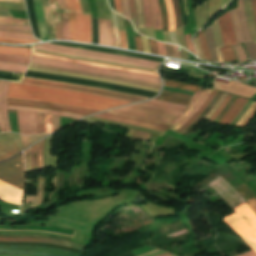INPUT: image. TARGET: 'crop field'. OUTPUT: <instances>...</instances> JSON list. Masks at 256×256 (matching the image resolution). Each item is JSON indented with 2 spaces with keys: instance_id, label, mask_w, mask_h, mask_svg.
Instances as JSON below:
<instances>
[{
  "instance_id": "8a807250",
  "label": "crop field",
  "mask_w": 256,
  "mask_h": 256,
  "mask_svg": "<svg viewBox=\"0 0 256 256\" xmlns=\"http://www.w3.org/2000/svg\"><path fill=\"white\" fill-rule=\"evenodd\" d=\"M7 98H21L62 103L72 106L105 110L107 108L128 104L131 102L102 97L92 94L64 91L58 89L36 87L11 83Z\"/></svg>"
},
{
  "instance_id": "ac0d7876",
  "label": "crop field",
  "mask_w": 256,
  "mask_h": 256,
  "mask_svg": "<svg viewBox=\"0 0 256 256\" xmlns=\"http://www.w3.org/2000/svg\"><path fill=\"white\" fill-rule=\"evenodd\" d=\"M203 90H198L192 95V98L189 102L188 108L183 112H176L167 109L137 104L133 106H128L124 108H119L115 110L106 111L112 114L135 117L140 119H146L151 121H157L162 123L171 124V129L175 126L181 119H183L187 113L192 109V107L196 104L200 96L202 95Z\"/></svg>"
},
{
  "instance_id": "34b2d1b8",
  "label": "crop field",
  "mask_w": 256,
  "mask_h": 256,
  "mask_svg": "<svg viewBox=\"0 0 256 256\" xmlns=\"http://www.w3.org/2000/svg\"><path fill=\"white\" fill-rule=\"evenodd\" d=\"M233 210L236 213L222 220L235 230L246 244L256 252V215L246 203ZM253 250L238 256H256Z\"/></svg>"
},
{
  "instance_id": "412701ff",
  "label": "crop field",
  "mask_w": 256,
  "mask_h": 256,
  "mask_svg": "<svg viewBox=\"0 0 256 256\" xmlns=\"http://www.w3.org/2000/svg\"><path fill=\"white\" fill-rule=\"evenodd\" d=\"M31 63L41 64V65H48V66H55V67H61V68H67V69L78 70V71L89 72V73H95V74H101V75H107V76H114V77H120V78L146 81V82L161 85L159 78L140 75V74H136V73L117 71V70H111V69H104V68H97V67H90V66H83V65H77V64H71V63H65V62L43 59V58L34 57V56H32Z\"/></svg>"
},
{
  "instance_id": "f4fd0767",
  "label": "crop field",
  "mask_w": 256,
  "mask_h": 256,
  "mask_svg": "<svg viewBox=\"0 0 256 256\" xmlns=\"http://www.w3.org/2000/svg\"><path fill=\"white\" fill-rule=\"evenodd\" d=\"M70 19V40L91 43L90 15H82L78 0H66Z\"/></svg>"
},
{
  "instance_id": "dd49c442",
  "label": "crop field",
  "mask_w": 256,
  "mask_h": 256,
  "mask_svg": "<svg viewBox=\"0 0 256 256\" xmlns=\"http://www.w3.org/2000/svg\"><path fill=\"white\" fill-rule=\"evenodd\" d=\"M21 83L22 84H29V85H36V86H44V87L65 89V90H71V91H78V92L92 93V94L103 95V96L118 98V99H122V100H127V101H131V102L143 101V100L148 99V98L133 96V95H129V94L114 92V91L96 89V88H92V87L76 86V85L63 84V83L50 82V81H42V80H35V79L23 78Z\"/></svg>"
},
{
  "instance_id": "e52e79f7",
  "label": "crop field",
  "mask_w": 256,
  "mask_h": 256,
  "mask_svg": "<svg viewBox=\"0 0 256 256\" xmlns=\"http://www.w3.org/2000/svg\"><path fill=\"white\" fill-rule=\"evenodd\" d=\"M0 179L19 188L24 186V165L22 154L0 164Z\"/></svg>"
},
{
  "instance_id": "d8731c3e",
  "label": "crop field",
  "mask_w": 256,
  "mask_h": 256,
  "mask_svg": "<svg viewBox=\"0 0 256 256\" xmlns=\"http://www.w3.org/2000/svg\"><path fill=\"white\" fill-rule=\"evenodd\" d=\"M0 254L36 256H80L73 252L31 246H0Z\"/></svg>"
},
{
  "instance_id": "5a996713",
  "label": "crop field",
  "mask_w": 256,
  "mask_h": 256,
  "mask_svg": "<svg viewBox=\"0 0 256 256\" xmlns=\"http://www.w3.org/2000/svg\"><path fill=\"white\" fill-rule=\"evenodd\" d=\"M7 105H21V106H28V107L41 108V109H51V110H58L62 112L83 114L85 116L91 113L98 112L90 109L72 107V106H67L62 104L31 101V100H21V99H7Z\"/></svg>"
},
{
  "instance_id": "3316defc",
  "label": "crop field",
  "mask_w": 256,
  "mask_h": 256,
  "mask_svg": "<svg viewBox=\"0 0 256 256\" xmlns=\"http://www.w3.org/2000/svg\"><path fill=\"white\" fill-rule=\"evenodd\" d=\"M23 150L19 136L12 133L0 134V161Z\"/></svg>"
},
{
  "instance_id": "28ad6ade",
  "label": "crop field",
  "mask_w": 256,
  "mask_h": 256,
  "mask_svg": "<svg viewBox=\"0 0 256 256\" xmlns=\"http://www.w3.org/2000/svg\"><path fill=\"white\" fill-rule=\"evenodd\" d=\"M93 117L113 120V121L122 122V123L130 124V125L155 129V130H159V131H163V132H165L169 127L168 124H162V123L151 122V121H146V120L116 116V115H112V114H109V113H106V112L97 114Z\"/></svg>"
},
{
  "instance_id": "d1516ede",
  "label": "crop field",
  "mask_w": 256,
  "mask_h": 256,
  "mask_svg": "<svg viewBox=\"0 0 256 256\" xmlns=\"http://www.w3.org/2000/svg\"><path fill=\"white\" fill-rule=\"evenodd\" d=\"M17 119L20 134H37L36 113L17 111Z\"/></svg>"
},
{
  "instance_id": "22f410ed",
  "label": "crop field",
  "mask_w": 256,
  "mask_h": 256,
  "mask_svg": "<svg viewBox=\"0 0 256 256\" xmlns=\"http://www.w3.org/2000/svg\"><path fill=\"white\" fill-rule=\"evenodd\" d=\"M39 46H45V47H51V48H56V49H62V50H68V51H74V52H80V53H86V54H92V55H99V56H105V57H112V58H118V59L130 60V61H136V62L151 64V65H156V66L161 64L159 62L147 61V60L130 58V57H122V56H116V55H110V54H104V53H98V52H91V51H85V50H78V49L60 47V46L49 45V44H41Z\"/></svg>"
},
{
  "instance_id": "cbeb9de0",
  "label": "crop field",
  "mask_w": 256,
  "mask_h": 256,
  "mask_svg": "<svg viewBox=\"0 0 256 256\" xmlns=\"http://www.w3.org/2000/svg\"><path fill=\"white\" fill-rule=\"evenodd\" d=\"M0 241H8V242H43V243H51V244L68 246V247L77 248V249H81V250H84V248H85V246L74 244V243H71V242H63V241L43 239V238H5V237H0Z\"/></svg>"
},
{
  "instance_id": "5142ce71",
  "label": "crop field",
  "mask_w": 256,
  "mask_h": 256,
  "mask_svg": "<svg viewBox=\"0 0 256 256\" xmlns=\"http://www.w3.org/2000/svg\"><path fill=\"white\" fill-rule=\"evenodd\" d=\"M99 44L112 46L111 20L98 19Z\"/></svg>"
},
{
  "instance_id": "d9b57169",
  "label": "crop field",
  "mask_w": 256,
  "mask_h": 256,
  "mask_svg": "<svg viewBox=\"0 0 256 256\" xmlns=\"http://www.w3.org/2000/svg\"><path fill=\"white\" fill-rule=\"evenodd\" d=\"M33 48L42 49V50H48V51L57 52V53H64V54H70V55L89 57V58L100 59V60L111 61V62H117V63H125V64L137 65V66L153 68V69L157 68L156 66L144 65V64H139V63L130 62V61L111 59V58H105V57H99V56H92V55H86V54H80V53H74V52H68V51H62V50H56V49H50V48H44V47H38V46H34Z\"/></svg>"
},
{
  "instance_id": "733c2abd",
  "label": "crop field",
  "mask_w": 256,
  "mask_h": 256,
  "mask_svg": "<svg viewBox=\"0 0 256 256\" xmlns=\"http://www.w3.org/2000/svg\"><path fill=\"white\" fill-rule=\"evenodd\" d=\"M219 23L222 29L224 45L227 46V45L236 44L233 31H232V25H231V19H230L229 13L225 14L224 17L220 18Z\"/></svg>"
},
{
  "instance_id": "4a817a6b",
  "label": "crop field",
  "mask_w": 256,
  "mask_h": 256,
  "mask_svg": "<svg viewBox=\"0 0 256 256\" xmlns=\"http://www.w3.org/2000/svg\"><path fill=\"white\" fill-rule=\"evenodd\" d=\"M32 55H34V56H39V57H43V58H48V59H54V60H60V61H66V62L84 64V65H91V66H97V67L118 69V70L136 72V73H141V74H145V75H150V76H156V77H158V75L155 74V73L145 72V71H139V70H134V69L110 67V66L98 65V64H93V63H87V62H82V61H77V60H71V59H66V58H61V57H55V56H49V55L36 54V53H33Z\"/></svg>"
},
{
  "instance_id": "bc2a9ffb",
  "label": "crop field",
  "mask_w": 256,
  "mask_h": 256,
  "mask_svg": "<svg viewBox=\"0 0 256 256\" xmlns=\"http://www.w3.org/2000/svg\"><path fill=\"white\" fill-rule=\"evenodd\" d=\"M247 102L246 99L239 98L236 100L231 109L227 112V114L221 119L218 123L220 125H228L239 113L244 104Z\"/></svg>"
},
{
  "instance_id": "214f88e0",
  "label": "crop field",
  "mask_w": 256,
  "mask_h": 256,
  "mask_svg": "<svg viewBox=\"0 0 256 256\" xmlns=\"http://www.w3.org/2000/svg\"><path fill=\"white\" fill-rule=\"evenodd\" d=\"M60 16H61V22H62V32H63V40H69V21H68V15L66 12V6L64 0H57Z\"/></svg>"
},
{
  "instance_id": "92a150f3",
  "label": "crop field",
  "mask_w": 256,
  "mask_h": 256,
  "mask_svg": "<svg viewBox=\"0 0 256 256\" xmlns=\"http://www.w3.org/2000/svg\"><path fill=\"white\" fill-rule=\"evenodd\" d=\"M7 108L8 109H12V110L41 112V113H47V114H51V115L71 117V118H73L75 120L83 117V116H78V115H74V114L62 113V112H58V111L41 110V109H34V108L20 107V106H7Z\"/></svg>"
},
{
  "instance_id": "dafd665d",
  "label": "crop field",
  "mask_w": 256,
  "mask_h": 256,
  "mask_svg": "<svg viewBox=\"0 0 256 256\" xmlns=\"http://www.w3.org/2000/svg\"><path fill=\"white\" fill-rule=\"evenodd\" d=\"M10 82L4 81L1 93V110H2V117L4 121V126L6 131H11L9 120L7 117V108H6V96H7V89Z\"/></svg>"
},
{
  "instance_id": "00972430",
  "label": "crop field",
  "mask_w": 256,
  "mask_h": 256,
  "mask_svg": "<svg viewBox=\"0 0 256 256\" xmlns=\"http://www.w3.org/2000/svg\"><path fill=\"white\" fill-rule=\"evenodd\" d=\"M53 22L56 32V39H62L60 16L56 0H50Z\"/></svg>"
},
{
  "instance_id": "a9b5d70f",
  "label": "crop field",
  "mask_w": 256,
  "mask_h": 256,
  "mask_svg": "<svg viewBox=\"0 0 256 256\" xmlns=\"http://www.w3.org/2000/svg\"><path fill=\"white\" fill-rule=\"evenodd\" d=\"M210 92L211 89L206 88L203 95L201 96L197 104L193 107V109L189 112V114L171 130L176 132L201 107V105L203 104V102L205 101Z\"/></svg>"
},
{
  "instance_id": "4177f3b9",
  "label": "crop field",
  "mask_w": 256,
  "mask_h": 256,
  "mask_svg": "<svg viewBox=\"0 0 256 256\" xmlns=\"http://www.w3.org/2000/svg\"><path fill=\"white\" fill-rule=\"evenodd\" d=\"M216 93L217 90L213 89V91L210 93L202 107L177 131V133L180 134L182 131H184L200 115V113L206 108V106L213 99Z\"/></svg>"
},
{
  "instance_id": "730fd06b",
  "label": "crop field",
  "mask_w": 256,
  "mask_h": 256,
  "mask_svg": "<svg viewBox=\"0 0 256 256\" xmlns=\"http://www.w3.org/2000/svg\"><path fill=\"white\" fill-rule=\"evenodd\" d=\"M31 48H19L10 46H0V53L2 54H16L30 56Z\"/></svg>"
},
{
  "instance_id": "eef30255",
  "label": "crop field",
  "mask_w": 256,
  "mask_h": 256,
  "mask_svg": "<svg viewBox=\"0 0 256 256\" xmlns=\"http://www.w3.org/2000/svg\"><path fill=\"white\" fill-rule=\"evenodd\" d=\"M163 81H164V85H166V86H170V87H174V88H178V89H182V90H187V91H192V92H195L198 88H201L200 86L171 81V80L163 79Z\"/></svg>"
},
{
  "instance_id": "ae1a2a85",
  "label": "crop field",
  "mask_w": 256,
  "mask_h": 256,
  "mask_svg": "<svg viewBox=\"0 0 256 256\" xmlns=\"http://www.w3.org/2000/svg\"><path fill=\"white\" fill-rule=\"evenodd\" d=\"M30 57L23 56H12V55H1L0 62L17 63V64H29Z\"/></svg>"
},
{
  "instance_id": "d3111659",
  "label": "crop field",
  "mask_w": 256,
  "mask_h": 256,
  "mask_svg": "<svg viewBox=\"0 0 256 256\" xmlns=\"http://www.w3.org/2000/svg\"><path fill=\"white\" fill-rule=\"evenodd\" d=\"M150 3H151L153 18H154V29H162L157 0H150Z\"/></svg>"
},
{
  "instance_id": "750c4746",
  "label": "crop field",
  "mask_w": 256,
  "mask_h": 256,
  "mask_svg": "<svg viewBox=\"0 0 256 256\" xmlns=\"http://www.w3.org/2000/svg\"><path fill=\"white\" fill-rule=\"evenodd\" d=\"M27 67L25 65L0 63V71L24 73Z\"/></svg>"
},
{
  "instance_id": "bd1437ed",
  "label": "crop field",
  "mask_w": 256,
  "mask_h": 256,
  "mask_svg": "<svg viewBox=\"0 0 256 256\" xmlns=\"http://www.w3.org/2000/svg\"><path fill=\"white\" fill-rule=\"evenodd\" d=\"M146 27H153V18L150 8L149 0H142Z\"/></svg>"
},
{
  "instance_id": "1d83c4d3",
  "label": "crop field",
  "mask_w": 256,
  "mask_h": 256,
  "mask_svg": "<svg viewBox=\"0 0 256 256\" xmlns=\"http://www.w3.org/2000/svg\"><path fill=\"white\" fill-rule=\"evenodd\" d=\"M0 30L31 33L30 27L29 26H23V25H3V24H0Z\"/></svg>"
},
{
  "instance_id": "120bbe31",
  "label": "crop field",
  "mask_w": 256,
  "mask_h": 256,
  "mask_svg": "<svg viewBox=\"0 0 256 256\" xmlns=\"http://www.w3.org/2000/svg\"><path fill=\"white\" fill-rule=\"evenodd\" d=\"M167 11H168V22H169V30L168 31H175V17L173 12V7L171 0H165Z\"/></svg>"
},
{
  "instance_id": "d32e631a",
  "label": "crop field",
  "mask_w": 256,
  "mask_h": 256,
  "mask_svg": "<svg viewBox=\"0 0 256 256\" xmlns=\"http://www.w3.org/2000/svg\"><path fill=\"white\" fill-rule=\"evenodd\" d=\"M155 99H159V100L170 102V103L185 105V106H187V104L189 102L188 99L177 98V97H172V96H167V95H160L159 97H157Z\"/></svg>"
},
{
  "instance_id": "5866460e",
  "label": "crop field",
  "mask_w": 256,
  "mask_h": 256,
  "mask_svg": "<svg viewBox=\"0 0 256 256\" xmlns=\"http://www.w3.org/2000/svg\"><path fill=\"white\" fill-rule=\"evenodd\" d=\"M0 37H10V38H21V39H34L32 34L26 33H14V32H2L0 31Z\"/></svg>"
},
{
  "instance_id": "028f5c9d",
  "label": "crop field",
  "mask_w": 256,
  "mask_h": 256,
  "mask_svg": "<svg viewBox=\"0 0 256 256\" xmlns=\"http://www.w3.org/2000/svg\"><path fill=\"white\" fill-rule=\"evenodd\" d=\"M158 3L160 7V12H161L163 31H167L168 29L167 11H166L164 0H158Z\"/></svg>"
},
{
  "instance_id": "e1f06a70",
  "label": "crop field",
  "mask_w": 256,
  "mask_h": 256,
  "mask_svg": "<svg viewBox=\"0 0 256 256\" xmlns=\"http://www.w3.org/2000/svg\"><path fill=\"white\" fill-rule=\"evenodd\" d=\"M223 57V62L236 60L235 54L231 47L219 48Z\"/></svg>"
},
{
  "instance_id": "0bd39190",
  "label": "crop field",
  "mask_w": 256,
  "mask_h": 256,
  "mask_svg": "<svg viewBox=\"0 0 256 256\" xmlns=\"http://www.w3.org/2000/svg\"><path fill=\"white\" fill-rule=\"evenodd\" d=\"M198 36H199V41H200L202 51H203L204 56H205V60H211L212 61V57H211V55H210V53L207 49L206 43H205L203 30L198 32Z\"/></svg>"
},
{
  "instance_id": "b80d0937",
  "label": "crop field",
  "mask_w": 256,
  "mask_h": 256,
  "mask_svg": "<svg viewBox=\"0 0 256 256\" xmlns=\"http://www.w3.org/2000/svg\"><path fill=\"white\" fill-rule=\"evenodd\" d=\"M0 23H3V24H24V25H29L27 20L15 19V18H5V17H0Z\"/></svg>"
},
{
  "instance_id": "c035e120",
  "label": "crop field",
  "mask_w": 256,
  "mask_h": 256,
  "mask_svg": "<svg viewBox=\"0 0 256 256\" xmlns=\"http://www.w3.org/2000/svg\"><path fill=\"white\" fill-rule=\"evenodd\" d=\"M232 47H233L239 61H246L247 60L246 55L243 51V48H242L241 44L235 45V46H232Z\"/></svg>"
},
{
  "instance_id": "c21b1889",
  "label": "crop field",
  "mask_w": 256,
  "mask_h": 256,
  "mask_svg": "<svg viewBox=\"0 0 256 256\" xmlns=\"http://www.w3.org/2000/svg\"><path fill=\"white\" fill-rule=\"evenodd\" d=\"M0 42L15 43V44H26V43H32V42H38V41L21 40V39H10V38H0Z\"/></svg>"
},
{
  "instance_id": "03da06ac",
  "label": "crop field",
  "mask_w": 256,
  "mask_h": 256,
  "mask_svg": "<svg viewBox=\"0 0 256 256\" xmlns=\"http://www.w3.org/2000/svg\"><path fill=\"white\" fill-rule=\"evenodd\" d=\"M43 144H44V140L38 143V165H39V170L44 169L43 159H42Z\"/></svg>"
},
{
  "instance_id": "b54c1fbb",
  "label": "crop field",
  "mask_w": 256,
  "mask_h": 256,
  "mask_svg": "<svg viewBox=\"0 0 256 256\" xmlns=\"http://www.w3.org/2000/svg\"><path fill=\"white\" fill-rule=\"evenodd\" d=\"M31 164L32 171L37 170V144L32 146Z\"/></svg>"
},
{
  "instance_id": "5d738f31",
  "label": "crop field",
  "mask_w": 256,
  "mask_h": 256,
  "mask_svg": "<svg viewBox=\"0 0 256 256\" xmlns=\"http://www.w3.org/2000/svg\"><path fill=\"white\" fill-rule=\"evenodd\" d=\"M38 134L44 133V115L37 113Z\"/></svg>"
},
{
  "instance_id": "d23c7cc5",
  "label": "crop field",
  "mask_w": 256,
  "mask_h": 256,
  "mask_svg": "<svg viewBox=\"0 0 256 256\" xmlns=\"http://www.w3.org/2000/svg\"><path fill=\"white\" fill-rule=\"evenodd\" d=\"M226 96L225 93L222 94V96L219 98V100L216 102V104L213 106V108L210 110V112L204 117V119L208 120L212 114L215 112V110L218 108L224 97Z\"/></svg>"
},
{
  "instance_id": "425ffa30",
  "label": "crop field",
  "mask_w": 256,
  "mask_h": 256,
  "mask_svg": "<svg viewBox=\"0 0 256 256\" xmlns=\"http://www.w3.org/2000/svg\"><path fill=\"white\" fill-rule=\"evenodd\" d=\"M30 154H31V148H29L27 151L24 152L26 172L31 171Z\"/></svg>"
},
{
  "instance_id": "25e5ab78",
  "label": "crop field",
  "mask_w": 256,
  "mask_h": 256,
  "mask_svg": "<svg viewBox=\"0 0 256 256\" xmlns=\"http://www.w3.org/2000/svg\"><path fill=\"white\" fill-rule=\"evenodd\" d=\"M231 98V95L227 94L225 100L222 102V104L219 106V108L216 110V112L213 114V116L209 119V121H213L214 118L219 114V112L222 110V108L226 105V103Z\"/></svg>"
},
{
  "instance_id": "73cf0c24",
  "label": "crop field",
  "mask_w": 256,
  "mask_h": 256,
  "mask_svg": "<svg viewBox=\"0 0 256 256\" xmlns=\"http://www.w3.org/2000/svg\"><path fill=\"white\" fill-rule=\"evenodd\" d=\"M255 107H256V101L253 102V104L250 106V108L246 111V113L242 116V118L237 122L235 126L239 127Z\"/></svg>"
},
{
  "instance_id": "89e229c0",
  "label": "crop field",
  "mask_w": 256,
  "mask_h": 256,
  "mask_svg": "<svg viewBox=\"0 0 256 256\" xmlns=\"http://www.w3.org/2000/svg\"><path fill=\"white\" fill-rule=\"evenodd\" d=\"M184 39L186 41V45H187V49L188 51L192 52L193 54H195V50H194V47H193V44H192V41H191V38H190V35H184ZM196 55V54H195Z\"/></svg>"
},
{
  "instance_id": "1f2cbd36",
  "label": "crop field",
  "mask_w": 256,
  "mask_h": 256,
  "mask_svg": "<svg viewBox=\"0 0 256 256\" xmlns=\"http://www.w3.org/2000/svg\"><path fill=\"white\" fill-rule=\"evenodd\" d=\"M133 35H134V40H135V44H136V50L142 52L140 35H138L134 30H133Z\"/></svg>"
},
{
  "instance_id": "dbb93151",
  "label": "crop field",
  "mask_w": 256,
  "mask_h": 256,
  "mask_svg": "<svg viewBox=\"0 0 256 256\" xmlns=\"http://www.w3.org/2000/svg\"><path fill=\"white\" fill-rule=\"evenodd\" d=\"M45 128H46V133L52 132L51 116L45 115Z\"/></svg>"
},
{
  "instance_id": "0fb4a251",
  "label": "crop field",
  "mask_w": 256,
  "mask_h": 256,
  "mask_svg": "<svg viewBox=\"0 0 256 256\" xmlns=\"http://www.w3.org/2000/svg\"><path fill=\"white\" fill-rule=\"evenodd\" d=\"M129 5H130V13H131V19L136 18V8H135V1L134 0H129Z\"/></svg>"
},
{
  "instance_id": "1d79db26",
  "label": "crop field",
  "mask_w": 256,
  "mask_h": 256,
  "mask_svg": "<svg viewBox=\"0 0 256 256\" xmlns=\"http://www.w3.org/2000/svg\"><path fill=\"white\" fill-rule=\"evenodd\" d=\"M121 40V48L127 49V40L125 32H119Z\"/></svg>"
},
{
  "instance_id": "9d1cf04e",
  "label": "crop field",
  "mask_w": 256,
  "mask_h": 256,
  "mask_svg": "<svg viewBox=\"0 0 256 256\" xmlns=\"http://www.w3.org/2000/svg\"><path fill=\"white\" fill-rule=\"evenodd\" d=\"M142 104H147V105H152V106L167 108V109L176 110V111H180V112H183V111H184L183 109H178V108H174V107L159 105V104L150 103V102H146V103H142Z\"/></svg>"
},
{
  "instance_id": "447ae74e",
  "label": "crop field",
  "mask_w": 256,
  "mask_h": 256,
  "mask_svg": "<svg viewBox=\"0 0 256 256\" xmlns=\"http://www.w3.org/2000/svg\"><path fill=\"white\" fill-rule=\"evenodd\" d=\"M20 136V139L22 141V144H23V147L26 148L28 147L29 145H31V140H30V137L28 136Z\"/></svg>"
},
{
  "instance_id": "0765c3eb",
  "label": "crop field",
  "mask_w": 256,
  "mask_h": 256,
  "mask_svg": "<svg viewBox=\"0 0 256 256\" xmlns=\"http://www.w3.org/2000/svg\"><path fill=\"white\" fill-rule=\"evenodd\" d=\"M162 93L163 94H169V95H172V96H177V97L188 98V99H190V97H191L189 95L180 94V93H176V92L165 91V90H163Z\"/></svg>"
},
{
  "instance_id": "db79e9e6",
  "label": "crop field",
  "mask_w": 256,
  "mask_h": 256,
  "mask_svg": "<svg viewBox=\"0 0 256 256\" xmlns=\"http://www.w3.org/2000/svg\"><path fill=\"white\" fill-rule=\"evenodd\" d=\"M256 115V108L253 110V112L248 116V118L242 123L240 126L241 128H244Z\"/></svg>"
},
{
  "instance_id": "7b73153f",
  "label": "crop field",
  "mask_w": 256,
  "mask_h": 256,
  "mask_svg": "<svg viewBox=\"0 0 256 256\" xmlns=\"http://www.w3.org/2000/svg\"><path fill=\"white\" fill-rule=\"evenodd\" d=\"M156 43H157L158 54H159V55L166 56L164 44H163V43H160V42H157V41H156Z\"/></svg>"
},
{
  "instance_id": "78b8030e",
  "label": "crop field",
  "mask_w": 256,
  "mask_h": 256,
  "mask_svg": "<svg viewBox=\"0 0 256 256\" xmlns=\"http://www.w3.org/2000/svg\"><path fill=\"white\" fill-rule=\"evenodd\" d=\"M150 102H155V103H159V104H164V105H169V106H174V107H178V108L186 109V107H185V106H180V105L170 104V103L162 102V101L155 100V99L150 100Z\"/></svg>"
},
{
  "instance_id": "0f1d7ab4",
  "label": "crop field",
  "mask_w": 256,
  "mask_h": 256,
  "mask_svg": "<svg viewBox=\"0 0 256 256\" xmlns=\"http://www.w3.org/2000/svg\"><path fill=\"white\" fill-rule=\"evenodd\" d=\"M246 202L249 204V206L253 209V211L256 213V198L253 197L251 199L246 200Z\"/></svg>"
},
{
  "instance_id": "e1d0b9f6",
  "label": "crop field",
  "mask_w": 256,
  "mask_h": 256,
  "mask_svg": "<svg viewBox=\"0 0 256 256\" xmlns=\"http://www.w3.org/2000/svg\"><path fill=\"white\" fill-rule=\"evenodd\" d=\"M52 120H53V131L60 128L59 117L52 116Z\"/></svg>"
},
{
  "instance_id": "ae633e8c",
  "label": "crop field",
  "mask_w": 256,
  "mask_h": 256,
  "mask_svg": "<svg viewBox=\"0 0 256 256\" xmlns=\"http://www.w3.org/2000/svg\"><path fill=\"white\" fill-rule=\"evenodd\" d=\"M115 8H116V12L122 14L121 0H115Z\"/></svg>"
},
{
  "instance_id": "d14b1444",
  "label": "crop field",
  "mask_w": 256,
  "mask_h": 256,
  "mask_svg": "<svg viewBox=\"0 0 256 256\" xmlns=\"http://www.w3.org/2000/svg\"><path fill=\"white\" fill-rule=\"evenodd\" d=\"M149 42H150L151 53L157 54L155 41L149 39ZM157 55H158V54H157Z\"/></svg>"
},
{
  "instance_id": "c39391a2",
  "label": "crop field",
  "mask_w": 256,
  "mask_h": 256,
  "mask_svg": "<svg viewBox=\"0 0 256 256\" xmlns=\"http://www.w3.org/2000/svg\"><path fill=\"white\" fill-rule=\"evenodd\" d=\"M2 83H3V81H0V91H1ZM0 131L1 132L5 131L4 126H3L2 117H1V110H0Z\"/></svg>"
},
{
  "instance_id": "ade564c9",
  "label": "crop field",
  "mask_w": 256,
  "mask_h": 256,
  "mask_svg": "<svg viewBox=\"0 0 256 256\" xmlns=\"http://www.w3.org/2000/svg\"><path fill=\"white\" fill-rule=\"evenodd\" d=\"M252 4H253L254 20H255V24H256V0H252Z\"/></svg>"
},
{
  "instance_id": "c5b07064",
  "label": "crop field",
  "mask_w": 256,
  "mask_h": 256,
  "mask_svg": "<svg viewBox=\"0 0 256 256\" xmlns=\"http://www.w3.org/2000/svg\"><path fill=\"white\" fill-rule=\"evenodd\" d=\"M0 16L12 17L8 11L0 10Z\"/></svg>"
},
{
  "instance_id": "c3a83c6f",
  "label": "crop field",
  "mask_w": 256,
  "mask_h": 256,
  "mask_svg": "<svg viewBox=\"0 0 256 256\" xmlns=\"http://www.w3.org/2000/svg\"><path fill=\"white\" fill-rule=\"evenodd\" d=\"M0 2H18V3H24V0H0Z\"/></svg>"
},
{
  "instance_id": "fb207236",
  "label": "crop field",
  "mask_w": 256,
  "mask_h": 256,
  "mask_svg": "<svg viewBox=\"0 0 256 256\" xmlns=\"http://www.w3.org/2000/svg\"><path fill=\"white\" fill-rule=\"evenodd\" d=\"M158 251H160V250L156 249V250H154V251L148 252V253L143 254V255H140V256H146V255H149V254H152V253L158 252Z\"/></svg>"
},
{
  "instance_id": "7312dd0a",
  "label": "crop field",
  "mask_w": 256,
  "mask_h": 256,
  "mask_svg": "<svg viewBox=\"0 0 256 256\" xmlns=\"http://www.w3.org/2000/svg\"><path fill=\"white\" fill-rule=\"evenodd\" d=\"M161 253H165V252H158V253L150 255V256H154V255L161 254Z\"/></svg>"
},
{
  "instance_id": "180be81f",
  "label": "crop field",
  "mask_w": 256,
  "mask_h": 256,
  "mask_svg": "<svg viewBox=\"0 0 256 256\" xmlns=\"http://www.w3.org/2000/svg\"><path fill=\"white\" fill-rule=\"evenodd\" d=\"M169 253H165V254H161V255H157V256H164V255H168Z\"/></svg>"
}]
</instances>
